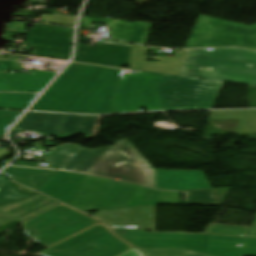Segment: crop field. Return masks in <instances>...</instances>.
Returning <instances> with one entry per match:
<instances>
[{
    "mask_svg": "<svg viewBox=\"0 0 256 256\" xmlns=\"http://www.w3.org/2000/svg\"><path fill=\"white\" fill-rule=\"evenodd\" d=\"M130 69L256 86V51L241 48L176 51V58L146 62L144 47L132 44Z\"/></svg>",
    "mask_w": 256,
    "mask_h": 256,
    "instance_id": "obj_1",
    "label": "crop field"
},
{
    "mask_svg": "<svg viewBox=\"0 0 256 256\" xmlns=\"http://www.w3.org/2000/svg\"><path fill=\"white\" fill-rule=\"evenodd\" d=\"M62 169L155 188L153 168L126 139L104 149L83 148Z\"/></svg>",
    "mask_w": 256,
    "mask_h": 256,
    "instance_id": "obj_2",
    "label": "crop field"
},
{
    "mask_svg": "<svg viewBox=\"0 0 256 256\" xmlns=\"http://www.w3.org/2000/svg\"><path fill=\"white\" fill-rule=\"evenodd\" d=\"M153 204L180 205V193L160 192L114 180L86 176L70 206L80 211H89Z\"/></svg>",
    "mask_w": 256,
    "mask_h": 256,
    "instance_id": "obj_3",
    "label": "crop field"
},
{
    "mask_svg": "<svg viewBox=\"0 0 256 256\" xmlns=\"http://www.w3.org/2000/svg\"><path fill=\"white\" fill-rule=\"evenodd\" d=\"M139 248L185 249L210 256H256V239L112 229ZM242 244L241 248L236 247ZM138 248V249H139Z\"/></svg>",
    "mask_w": 256,
    "mask_h": 256,
    "instance_id": "obj_4",
    "label": "crop field"
},
{
    "mask_svg": "<svg viewBox=\"0 0 256 256\" xmlns=\"http://www.w3.org/2000/svg\"><path fill=\"white\" fill-rule=\"evenodd\" d=\"M26 233L40 245L50 248L98 222L59 204L22 223Z\"/></svg>",
    "mask_w": 256,
    "mask_h": 256,
    "instance_id": "obj_5",
    "label": "crop field"
},
{
    "mask_svg": "<svg viewBox=\"0 0 256 256\" xmlns=\"http://www.w3.org/2000/svg\"><path fill=\"white\" fill-rule=\"evenodd\" d=\"M241 46L256 50V25L200 15L184 48Z\"/></svg>",
    "mask_w": 256,
    "mask_h": 256,
    "instance_id": "obj_6",
    "label": "crop field"
},
{
    "mask_svg": "<svg viewBox=\"0 0 256 256\" xmlns=\"http://www.w3.org/2000/svg\"><path fill=\"white\" fill-rule=\"evenodd\" d=\"M201 80L163 75L157 89L164 110H193L192 95ZM118 112H134L145 107L139 89L113 99Z\"/></svg>",
    "mask_w": 256,
    "mask_h": 256,
    "instance_id": "obj_7",
    "label": "crop field"
},
{
    "mask_svg": "<svg viewBox=\"0 0 256 256\" xmlns=\"http://www.w3.org/2000/svg\"><path fill=\"white\" fill-rule=\"evenodd\" d=\"M106 229V228H105ZM100 224L39 252L45 256H119L132 249L114 238Z\"/></svg>",
    "mask_w": 256,
    "mask_h": 256,
    "instance_id": "obj_8",
    "label": "crop field"
},
{
    "mask_svg": "<svg viewBox=\"0 0 256 256\" xmlns=\"http://www.w3.org/2000/svg\"><path fill=\"white\" fill-rule=\"evenodd\" d=\"M75 96L107 98V87L57 80L31 110L67 113Z\"/></svg>",
    "mask_w": 256,
    "mask_h": 256,
    "instance_id": "obj_9",
    "label": "crop field"
},
{
    "mask_svg": "<svg viewBox=\"0 0 256 256\" xmlns=\"http://www.w3.org/2000/svg\"><path fill=\"white\" fill-rule=\"evenodd\" d=\"M73 29L37 25L27 33L25 47L35 48L33 55L69 59Z\"/></svg>",
    "mask_w": 256,
    "mask_h": 256,
    "instance_id": "obj_10",
    "label": "crop field"
},
{
    "mask_svg": "<svg viewBox=\"0 0 256 256\" xmlns=\"http://www.w3.org/2000/svg\"><path fill=\"white\" fill-rule=\"evenodd\" d=\"M84 45L78 43L74 61L115 67L128 65L131 49L129 43L104 40L103 43H97L96 47Z\"/></svg>",
    "mask_w": 256,
    "mask_h": 256,
    "instance_id": "obj_11",
    "label": "crop field"
},
{
    "mask_svg": "<svg viewBox=\"0 0 256 256\" xmlns=\"http://www.w3.org/2000/svg\"><path fill=\"white\" fill-rule=\"evenodd\" d=\"M124 70L72 63L59 79L108 86L112 98Z\"/></svg>",
    "mask_w": 256,
    "mask_h": 256,
    "instance_id": "obj_12",
    "label": "crop field"
},
{
    "mask_svg": "<svg viewBox=\"0 0 256 256\" xmlns=\"http://www.w3.org/2000/svg\"><path fill=\"white\" fill-rule=\"evenodd\" d=\"M57 204L59 203L46 196L36 194L30 198L1 205L0 227L15 220L23 222Z\"/></svg>",
    "mask_w": 256,
    "mask_h": 256,
    "instance_id": "obj_13",
    "label": "crop field"
},
{
    "mask_svg": "<svg viewBox=\"0 0 256 256\" xmlns=\"http://www.w3.org/2000/svg\"><path fill=\"white\" fill-rule=\"evenodd\" d=\"M156 188L161 190L188 191L211 188L202 171L155 170Z\"/></svg>",
    "mask_w": 256,
    "mask_h": 256,
    "instance_id": "obj_14",
    "label": "crop field"
},
{
    "mask_svg": "<svg viewBox=\"0 0 256 256\" xmlns=\"http://www.w3.org/2000/svg\"><path fill=\"white\" fill-rule=\"evenodd\" d=\"M91 23H107L111 27L112 39L145 44L151 24L124 22L109 19L83 17L81 26L92 27Z\"/></svg>",
    "mask_w": 256,
    "mask_h": 256,
    "instance_id": "obj_15",
    "label": "crop field"
},
{
    "mask_svg": "<svg viewBox=\"0 0 256 256\" xmlns=\"http://www.w3.org/2000/svg\"><path fill=\"white\" fill-rule=\"evenodd\" d=\"M85 176L58 171L39 191L69 205Z\"/></svg>",
    "mask_w": 256,
    "mask_h": 256,
    "instance_id": "obj_16",
    "label": "crop field"
},
{
    "mask_svg": "<svg viewBox=\"0 0 256 256\" xmlns=\"http://www.w3.org/2000/svg\"><path fill=\"white\" fill-rule=\"evenodd\" d=\"M66 115L27 112L13 130L36 131L42 135L61 137L59 127Z\"/></svg>",
    "mask_w": 256,
    "mask_h": 256,
    "instance_id": "obj_17",
    "label": "crop field"
},
{
    "mask_svg": "<svg viewBox=\"0 0 256 256\" xmlns=\"http://www.w3.org/2000/svg\"><path fill=\"white\" fill-rule=\"evenodd\" d=\"M239 119L234 134L256 135V110L210 111L208 120Z\"/></svg>",
    "mask_w": 256,
    "mask_h": 256,
    "instance_id": "obj_18",
    "label": "crop field"
},
{
    "mask_svg": "<svg viewBox=\"0 0 256 256\" xmlns=\"http://www.w3.org/2000/svg\"><path fill=\"white\" fill-rule=\"evenodd\" d=\"M222 85L221 82L202 80L193 95V108L211 109Z\"/></svg>",
    "mask_w": 256,
    "mask_h": 256,
    "instance_id": "obj_19",
    "label": "crop field"
},
{
    "mask_svg": "<svg viewBox=\"0 0 256 256\" xmlns=\"http://www.w3.org/2000/svg\"><path fill=\"white\" fill-rule=\"evenodd\" d=\"M69 112L87 114L115 113L111 99H91L76 97Z\"/></svg>",
    "mask_w": 256,
    "mask_h": 256,
    "instance_id": "obj_20",
    "label": "crop field"
},
{
    "mask_svg": "<svg viewBox=\"0 0 256 256\" xmlns=\"http://www.w3.org/2000/svg\"><path fill=\"white\" fill-rule=\"evenodd\" d=\"M97 118L96 116L67 115L60 127V130L64 133L61 138L69 137L75 132H84L86 133V138H90Z\"/></svg>",
    "mask_w": 256,
    "mask_h": 256,
    "instance_id": "obj_21",
    "label": "crop field"
},
{
    "mask_svg": "<svg viewBox=\"0 0 256 256\" xmlns=\"http://www.w3.org/2000/svg\"><path fill=\"white\" fill-rule=\"evenodd\" d=\"M42 150L50 151L49 161L46 168L61 169L82 147L74 144H60L56 148L46 149L42 141L34 143Z\"/></svg>",
    "mask_w": 256,
    "mask_h": 256,
    "instance_id": "obj_22",
    "label": "crop field"
},
{
    "mask_svg": "<svg viewBox=\"0 0 256 256\" xmlns=\"http://www.w3.org/2000/svg\"><path fill=\"white\" fill-rule=\"evenodd\" d=\"M212 189L185 192L184 204L216 203Z\"/></svg>",
    "mask_w": 256,
    "mask_h": 256,
    "instance_id": "obj_23",
    "label": "crop field"
},
{
    "mask_svg": "<svg viewBox=\"0 0 256 256\" xmlns=\"http://www.w3.org/2000/svg\"><path fill=\"white\" fill-rule=\"evenodd\" d=\"M250 227L208 224L204 233L246 236Z\"/></svg>",
    "mask_w": 256,
    "mask_h": 256,
    "instance_id": "obj_24",
    "label": "crop field"
},
{
    "mask_svg": "<svg viewBox=\"0 0 256 256\" xmlns=\"http://www.w3.org/2000/svg\"><path fill=\"white\" fill-rule=\"evenodd\" d=\"M25 197L29 196L17 193L7 180L0 175V205Z\"/></svg>",
    "mask_w": 256,
    "mask_h": 256,
    "instance_id": "obj_25",
    "label": "crop field"
},
{
    "mask_svg": "<svg viewBox=\"0 0 256 256\" xmlns=\"http://www.w3.org/2000/svg\"><path fill=\"white\" fill-rule=\"evenodd\" d=\"M76 19L77 18L45 16V17H43L42 22L74 27L75 23H76Z\"/></svg>",
    "mask_w": 256,
    "mask_h": 256,
    "instance_id": "obj_26",
    "label": "crop field"
},
{
    "mask_svg": "<svg viewBox=\"0 0 256 256\" xmlns=\"http://www.w3.org/2000/svg\"><path fill=\"white\" fill-rule=\"evenodd\" d=\"M147 256H185L184 250L142 249Z\"/></svg>",
    "mask_w": 256,
    "mask_h": 256,
    "instance_id": "obj_27",
    "label": "crop field"
},
{
    "mask_svg": "<svg viewBox=\"0 0 256 256\" xmlns=\"http://www.w3.org/2000/svg\"><path fill=\"white\" fill-rule=\"evenodd\" d=\"M247 237L256 238V214H255V217L253 219V222H252V225H251V228L249 230V233H248Z\"/></svg>",
    "mask_w": 256,
    "mask_h": 256,
    "instance_id": "obj_28",
    "label": "crop field"
},
{
    "mask_svg": "<svg viewBox=\"0 0 256 256\" xmlns=\"http://www.w3.org/2000/svg\"><path fill=\"white\" fill-rule=\"evenodd\" d=\"M121 256H144V254L140 253L139 251L132 249Z\"/></svg>",
    "mask_w": 256,
    "mask_h": 256,
    "instance_id": "obj_29",
    "label": "crop field"
},
{
    "mask_svg": "<svg viewBox=\"0 0 256 256\" xmlns=\"http://www.w3.org/2000/svg\"><path fill=\"white\" fill-rule=\"evenodd\" d=\"M186 256H205V255H201V254H197V253L187 251Z\"/></svg>",
    "mask_w": 256,
    "mask_h": 256,
    "instance_id": "obj_30",
    "label": "crop field"
}]
</instances>
